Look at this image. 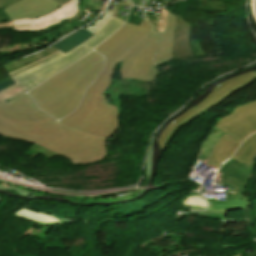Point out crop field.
<instances>
[{
  "label": "crop field",
  "mask_w": 256,
  "mask_h": 256,
  "mask_svg": "<svg viewBox=\"0 0 256 256\" xmlns=\"http://www.w3.org/2000/svg\"><path fill=\"white\" fill-rule=\"evenodd\" d=\"M134 9H135V7H133L129 18L127 19V22H130V23H134V24H138V25H139L140 22H141V19H137V18L132 17V14H133Z\"/></svg>",
  "instance_id": "obj_25"
},
{
  "label": "crop field",
  "mask_w": 256,
  "mask_h": 256,
  "mask_svg": "<svg viewBox=\"0 0 256 256\" xmlns=\"http://www.w3.org/2000/svg\"><path fill=\"white\" fill-rule=\"evenodd\" d=\"M61 4L54 0H21L3 10L11 20L20 18H34L46 15Z\"/></svg>",
  "instance_id": "obj_11"
},
{
  "label": "crop field",
  "mask_w": 256,
  "mask_h": 256,
  "mask_svg": "<svg viewBox=\"0 0 256 256\" xmlns=\"http://www.w3.org/2000/svg\"><path fill=\"white\" fill-rule=\"evenodd\" d=\"M9 17L4 11H1L0 9V22L9 21Z\"/></svg>",
  "instance_id": "obj_26"
},
{
  "label": "crop field",
  "mask_w": 256,
  "mask_h": 256,
  "mask_svg": "<svg viewBox=\"0 0 256 256\" xmlns=\"http://www.w3.org/2000/svg\"><path fill=\"white\" fill-rule=\"evenodd\" d=\"M154 139V137H153ZM152 139V141H153ZM152 141H151V147L147 158V167H146V176L149 177V171H150V165H151V156H152Z\"/></svg>",
  "instance_id": "obj_23"
},
{
  "label": "crop field",
  "mask_w": 256,
  "mask_h": 256,
  "mask_svg": "<svg viewBox=\"0 0 256 256\" xmlns=\"http://www.w3.org/2000/svg\"><path fill=\"white\" fill-rule=\"evenodd\" d=\"M114 83H115V80L112 79V83L108 87V89L104 92V95H110L111 96L113 104L116 105V107L119 110V115L121 113V106H120L119 96L121 94H126L125 93V91H126L125 89L126 88L129 89L128 91L133 92L132 96H139L140 94L134 92L136 90V89H134V84L135 83H137V85H139L138 88H140V89H143V88L147 89V92H148L149 86H150L149 84L143 83L141 81L133 80V79H121L120 80L121 86H119V87H122L123 92L119 94L118 91L114 90V87H113Z\"/></svg>",
  "instance_id": "obj_14"
},
{
  "label": "crop field",
  "mask_w": 256,
  "mask_h": 256,
  "mask_svg": "<svg viewBox=\"0 0 256 256\" xmlns=\"http://www.w3.org/2000/svg\"><path fill=\"white\" fill-rule=\"evenodd\" d=\"M17 1H19V0H6L5 2H3V3L0 5V8L7 7V6H9V5H11V4H13V3H15V2H17ZM56 1H58V2H60V3H62V4H64V3L68 2L69 0H56ZM62 4H61V5H62Z\"/></svg>",
  "instance_id": "obj_22"
},
{
  "label": "crop field",
  "mask_w": 256,
  "mask_h": 256,
  "mask_svg": "<svg viewBox=\"0 0 256 256\" xmlns=\"http://www.w3.org/2000/svg\"><path fill=\"white\" fill-rule=\"evenodd\" d=\"M256 158V134L248 137L243 145L219 170V177L215 183L230 184L236 188L235 195L226 196V201L206 198L211 203L209 210H235L251 207L242 193L251 179ZM247 190V189H246ZM244 194V193H243ZM250 201V200H249Z\"/></svg>",
  "instance_id": "obj_5"
},
{
  "label": "crop field",
  "mask_w": 256,
  "mask_h": 256,
  "mask_svg": "<svg viewBox=\"0 0 256 256\" xmlns=\"http://www.w3.org/2000/svg\"><path fill=\"white\" fill-rule=\"evenodd\" d=\"M176 16L177 27L175 32L174 58L179 59L194 56L189 42L191 25L183 20L181 16Z\"/></svg>",
  "instance_id": "obj_13"
},
{
  "label": "crop field",
  "mask_w": 256,
  "mask_h": 256,
  "mask_svg": "<svg viewBox=\"0 0 256 256\" xmlns=\"http://www.w3.org/2000/svg\"><path fill=\"white\" fill-rule=\"evenodd\" d=\"M47 44H49V42L39 41V42H35V43L24 44V47H25L26 50H29V49H33V48L43 46V45H47Z\"/></svg>",
  "instance_id": "obj_21"
},
{
  "label": "crop field",
  "mask_w": 256,
  "mask_h": 256,
  "mask_svg": "<svg viewBox=\"0 0 256 256\" xmlns=\"http://www.w3.org/2000/svg\"><path fill=\"white\" fill-rule=\"evenodd\" d=\"M181 206L207 208L209 207V203L198 193H192L183 199Z\"/></svg>",
  "instance_id": "obj_17"
},
{
  "label": "crop field",
  "mask_w": 256,
  "mask_h": 256,
  "mask_svg": "<svg viewBox=\"0 0 256 256\" xmlns=\"http://www.w3.org/2000/svg\"><path fill=\"white\" fill-rule=\"evenodd\" d=\"M215 127L242 143L248 135L256 132V102L237 107L230 116L220 119Z\"/></svg>",
  "instance_id": "obj_9"
},
{
  "label": "crop field",
  "mask_w": 256,
  "mask_h": 256,
  "mask_svg": "<svg viewBox=\"0 0 256 256\" xmlns=\"http://www.w3.org/2000/svg\"><path fill=\"white\" fill-rule=\"evenodd\" d=\"M0 134L36 143L72 163H93L106 155L104 137L55 122L26 93L0 103Z\"/></svg>",
  "instance_id": "obj_1"
},
{
  "label": "crop field",
  "mask_w": 256,
  "mask_h": 256,
  "mask_svg": "<svg viewBox=\"0 0 256 256\" xmlns=\"http://www.w3.org/2000/svg\"><path fill=\"white\" fill-rule=\"evenodd\" d=\"M103 62L104 57L92 51L28 93L40 110L61 119L78 106L85 90L100 73Z\"/></svg>",
  "instance_id": "obj_3"
},
{
  "label": "crop field",
  "mask_w": 256,
  "mask_h": 256,
  "mask_svg": "<svg viewBox=\"0 0 256 256\" xmlns=\"http://www.w3.org/2000/svg\"><path fill=\"white\" fill-rule=\"evenodd\" d=\"M79 1L80 0H71L69 3L44 17L12 21L14 26L11 28L22 31L43 30L52 24L60 23L65 19L75 16L78 12Z\"/></svg>",
  "instance_id": "obj_10"
},
{
  "label": "crop field",
  "mask_w": 256,
  "mask_h": 256,
  "mask_svg": "<svg viewBox=\"0 0 256 256\" xmlns=\"http://www.w3.org/2000/svg\"><path fill=\"white\" fill-rule=\"evenodd\" d=\"M92 35H94V34L83 29V30H80V31L72 34L71 36L65 38L64 40L58 42L57 44H55L53 46H55L59 50L66 53V52L76 48L78 45H80L81 42H83L87 38L91 37Z\"/></svg>",
  "instance_id": "obj_16"
},
{
  "label": "crop field",
  "mask_w": 256,
  "mask_h": 256,
  "mask_svg": "<svg viewBox=\"0 0 256 256\" xmlns=\"http://www.w3.org/2000/svg\"><path fill=\"white\" fill-rule=\"evenodd\" d=\"M240 144L229 135L213 127L212 134L206 137L200 147L201 154L199 153L198 159L207 165L219 168L233 155Z\"/></svg>",
  "instance_id": "obj_8"
},
{
  "label": "crop field",
  "mask_w": 256,
  "mask_h": 256,
  "mask_svg": "<svg viewBox=\"0 0 256 256\" xmlns=\"http://www.w3.org/2000/svg\"><path fill=\"white\" fill-rule=\"evenodd\" d=\"M209 7L219 11H225L227 9L223 0H201L200 8Z\"/></svg>",
  "instance_id": "obj_18"
},
{
  "label": "crop field",
  "mask_w": 256,
  "mask_h": 256,
  "mask_svg": "<svg viewBox=\"0 0 256 256\" xmlns=\"http://www.w3.org/2000/svg\"><path fill=\"white\" fill-rule=\"evenodd\" d=\"M10 26H12V23H4V24H0V28H10Z\"/></svg>",
  "instance_id": "obj_27"
},
{
  "label": "crop field",
  "mask_w": 256,
  "mask_h": 256,
  "mask_svg": "<svg viewBox=\"0 0 256 256\" xmlns=\"http://www.w3.org/2000/svg\"><path fill=\"white\" fill-rule=\"evenodd\" d=\"M154 27L152 30L144 36L141 40H139L135 45H133L130 49L126 52L121 54L113 61V66L110 75V81L108 86L111 83V76L114 70V67L119 62L123 61L120 67V74L121 78H133L141 81H153L155 76L159 74V70L153 65V58L154 55L160 45V36L158 31H154ZM107 86V87H108ZM106 87V88H107ZM106 88L102 91L101 96L107 104L105 96H103V92ZM108 105V104H107ZM116 110V126L112 130V132L106 137L110 138L112 133L115 131L118 121V111L115 106L109 105Z\"/></svg>",
  "instance_id": "obj_6"
},
{
  "label": "crop field",
  "mask_w": 256,
  "mask_h": 256,
  "mask_svg": "<svg viewBox=\"0 0 256 256\" xmlns=\"http://www.w3.org/2000/svg\"><path fill=\"white\" fill-rule=\"evenodd\" d=\"M124 22L121 19L111 18L94 36L81 43L73 51L64 54L58 50L13 72L10 71L9 75L15 84L0 91V102L34 88L45 79L82 58L113 34Z\"/></svg>",
  "instance_id": "obj_4"
},
{
  "label": "crop field",
  "mask_w": 256,
  "mask_h": 256,
  "mask_svg": "<svg viewBox=\"0 0 256 256\" xmlns=\"http://www.w3.org/2000/svg\"><path fill=\"white\" fill-rule=\"evenodd\" d=\"M152 26L146 16L140 26L125 23L111 38L95 49L106 58L104 70L88 88L77 110L60 120L61 122L104 137L110 133L115 125V111L103 103L100 92L109 81L112 61L146 35Z\"/></svg>",
  "instance_id": "obj_2"
},
{
  "label": "crop field",
  "mask_w": 256,
  "mask_h": 256,
  "mask_svg": "<svg viewBox=\"0 0 256 256\" xmlns=\"http://www.w3.org/2000/svg\"><path fill=\"white\" fill-rule=\"evenodd\" d=\"M30 149L38 151V152L46 155L47 157L57 156V154H54V153H52V152H50V151H48V150H46V149H44V148H42V147H40L38 145H35V144Z\"/></svg>",
  "instance_id": "obj_20"
},
{
  "label": "crop field",
  "mask_w": 256,
  "mask_h": 256,
  "mask_svg": "<svg viewBox=\"0 0 256 256\" xmlns=\"http://www.w3.org/2000/svg\"><path fill=\"white\" fill-rule=\"evenodd\" d=\"M256 79V72L252 71L246 75L224 81L215 86L213 91L206 97V99L199 105L191 108L186 113L172 121L160 136V146L163 149L169 141L176 129L192 118L203 113L207 108L213 106L234 92L242 89L243 87L251 84ZM178 130V129H177Z\"/></svg>",
  "instance_id": "obj_7"
},
{
  "label": "crop field",
  "mask_w": 256,
  "mask_h": 256,
  "mask_svg": "<svg viewBox=\"0 0 256 256\" xmlns=\"http://www.w3.org/2000/svg\"><path fill=\"white\" fill-rule=\"evenodd\" d=\"M250 7H251V15L256 23V0H250Z\"/></svg>",
  "instance_id": "obj_24"
},
{
  "label": "crop field",
  "mask_w": 256,
  "mask_h": 256,
  "mask_svg": "<svg viewBox=\"0 0 256 256\" xmlns=\"http://www.w3.org/2000/svg\"><path fill=\"white\" fill-rule=\"evenodd\" d=\"M164 10L167 13V26L164 33L160 32L162 45L154 60V64L156 66L170 59H173V42L176 26V16L167 11L166 9Z\"/></svg>",
  "instance_id": "obj_12"
},
{
  "label": "crop field",
  "mask_w": 256,
  "mask_h": 256,
  "mask_svg": "<svg viewBox=\"0 0 256 256\" xmlns=\"http://www.w3.org/2000/svg\"><path fill=\"white\" fill-rule=\"evenodd\" d=\"M169 1H171V0H168L167 2H169ZM167 2H166V3H167Z\"/></svg>",
  "instance_id": "obj_30"
},
{
  "label": "crop field",
  "mask_w": 256,
  "mask_h": 256,
  "mask_svg": "<svg viewBox=\"0 0 256 256\" xmlns=\"http://www.w3.org/2000/svg\"><path fill=\"white\" fill-rule=\"evenodd\" d=\"M192 49L195 56L204 55V51L198 41H191Z\"/></svg>",
  "instance_id": "obj_19"
},
{
  "label": "crop field",
  "mask_w": 256,
  "mask_h": 256,
  "mask_svg": "<svg viewBox=\"0 0 256 256\" xmlns=\"http://www.w3.org/2000/svg\"><path fill=\"white\" fill-rule=\"evenodd\" d=\"M4 0H0V4L3 2Z\"/></svg>",
  "instance_id": "obj_29"
},
{
  "label": "crop field",
  "mask_w": 256,
  "mask_h": 256,
  "mask_svg": "<svg viewBox=\"0 0 256 256\" xmlns=\"http://www.w3.org/2000/svg\"><path fill=\"white\" fill-rule=\"evenodd\" d=\"M15 216L18 218L43 223V224H51V225H64V224H71L69 221H59L51 216L44 215L35 211H31L28 209L20 208L16 211Z\"/></svg>",
  "instance_id": "obj_15"
},
{
  "label": "crop field",
  "mask_w": 256,
  "mask_h": 256,
  "mask_svg": "<svg viewBox=\"0 0 256 256\" xmlns=\"http://www.w3.org/2000/svg\"><path fill=\"white\" fill-rule=\"evenodd\" d=\"M138 1H139V0H134V1H133V4H134V5H137Z\"/></svg>",
  "instance_id": "obj_28"
}]
</instances>
